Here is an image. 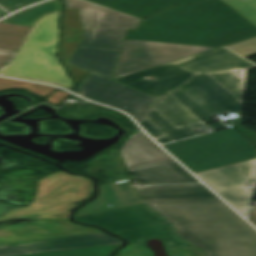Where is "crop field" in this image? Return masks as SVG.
<instances>
[{"label": "crop field", "instance_id": "crop-field-6", "mask_svg": "<svg viewBox=\"0 0 256 256\" xmlns=\"http://www.w3.org/2000/svg\"><path fill=\"white\" fill-rule=\"evenodd\" d=\"M91 193L92 180L60 172L41 181L36 199L31 206L20 207L0 219L28 214L44 216L66 210L76 206L73 203L86 200Z\"/></svg>", "mask_w": 256, "mask_h": 256}, {"label": "crop field", "instance_id": "crop-field-12", "mask_svg": "<svg viewBox=\"0 0 256 256\" xmlns=\"http://www.w3.org/2000/svg\"><path fill=\"white\" fill-rule=\"evenodd\" d=\"M75 220L99 225L111 232L124 231L169 221L146 203L77 217Z\"/></svg>", "mask_w": 256, "mask_h": 256}, {"label": "crop field", "instance_id": "crop-field-26", "mask_svg": "<svg viewBox=\"0 0 256 256\" xmlns=\"http://www.w3.org/2000/svg\"><path fill=\"white\" fill-rule=\"evenodd\" d=\"M29 27L0 24V49L18 51Z\"/></svg>", "mask_w": 256, "mask_h": 256}, {"label": "crop field", "instance_id": "crop-field-36", "mask_svg": "<svg viewBox=\"0 0 256 256\" xmlns=\"http://www.w3.org/2000/svg\"><path fill=\"white\" fill-rule=\"evenodd\" d=\"M248 219L256 226V209H250Z\"/></svg>", "mask_w": 256, "mask_h": 256}, {"label": "crop field", "instance_id": "crop-field-37", "mask_svg": "<svg viewBox=\"0 0 256 256\" xmlns=\"http://www.w3.org/2000/svg\"><path fill=\"white\" fill-rule=\"evenodd\" d=\"M6 14H8V13H6L4 10H2V9L0 8V18L3 17V16L6 15Z\"/></svg>", "mask_w": 256, "mask_h": 256}, {"label": "crop field", "instance_id": "crop-field-29", "mask_svg": "<svg viewBox=\"0 0 256 256\" xmlns=\"http://www.w3.org/2000/svg\"><path fill=\"white\" fill-rule=\"evenodd\" d=\"M232 9L256 26V0H223Z\"/></svg>", "mask_w": 256, "mask_h": 256}, {"label": "crop field", "instance_id": "crop-field-22", "mask_svg": "<svg viewBox=\"0 0 256 256\" xmlns=\"http://www.w3.org/2000/svg\"><path fill=\"white\" fill-rule=\"evenodd\" d=\"M119 52L77 48L69 63L111 79Z\"/></svg>", "mask_w": 256, "mask_h": 256}, {"label": "crop field", "instance_id": "crop-field-33", "mask_svg": "<svg viewBox=\"0 0 256 256\" xmlns=\"http://www.w3.org/2000/svg\"><path fill=\"white\" fill-rule=\"evenodd\" d=\"M16 54L14 51L0 50V68L12 61Z\"/></svg>", "mask_w": 256, "mask_h": 256}, {"label": "crop field", "instance_id": "crop-field-3", "mask_svg": "<svg viewBox=\"0 0 256 256\" xmlns=\"http://www.w3.org/2000/svg\"><path fill=\"white\" fill-rule=\"evenodd\" d=\"M59 22L60 12L38 20L16 58L0 69V75L73 88L71 79L56 56Z\"/></svg>", "mask_w": 256, "mask_h": 256}, {"label": "crop field", "instance_id": "crop-field-17", "mask_svg": "<svg viewBox=\"0 0 256 256\" xmlns=\"http://www.w3.org/2000/svg\"><path fill=\"white\" fill-rule=\"evenodd\" d=\"M141 202L142 201L134 195L130 179L120 183L101 185L97 199L79 210L74 217L116 209ZM109 204L113 207H108L107 205Z\"/></svg>", "mask_w": 256, "mask_h": 256}, {"label": "crop field", "instance_id": "crop-field-21", "mask_svg": "<svg viewBox=\"0 0 256 256\" xmlns=\"http://www.w3.org/2000/svg\"><path fill=\"white\" fill-rule=\"evenodd\" d=\"M116 11L144 19L170 6L196 3L202 0H88Z\"/></svg>", "mask_w": 256, "mask_h": 256}, {"label": "crop field", "instance_id": "crop-field-38", "mask_svg": "<svg viewBox=\"0 0 256 256\" xmlns=\"http://www.w3.org/2000/svg\"><path fill=\"white\" fill-rule=\"evenodd\" d=\"M0 245H5V244L0 242Z\"/></svg>", "mask_w": 256, "mask_h": 256}, {"label": "crop field", "instance_id": "crop-field-24", "mask_svg": "<svg viewBox=\"0 0 256 256\" xmlns=\"http://www.w3.org/2000/svg\"><path fill=\"white\" fill-rule=\"evenodd\" d=\"M154 109L176 128L201 122L169 94L161 98Z\"/></svg>", "mask_w": 256, "mask_h": 256}, {"label": "crop field", "instance_id": "crop-field-32", "mask_svg": "<svg viewBox=\"0 0 256 256\" xmlns=\"http://www.w3.org/2000/svg\"><path fill=\"white\" fill-rule=\"evenodd\" d=\"M40 0H0V5L5 8L7 11L11 12L23 6L29 5L31 3L37 2Z\"/></svg>", "mask_w": 256, "mask_h": 256}, {"label": "crop field", "instance_id": "crop-field-34", "mask_svg": "<svg viewBox=\"0 0 256 256\" xmlns=\"http://www.w3.org/2000/svg\"><path fill=\"white\" fill-rule=\"evenodd\" d=\"M68 95L69 94L61 91H55L46 101L56 105L60 103Z\"/></svg>", "mask_w": 256, "mask_h": 256}, {"label": "crop field", "instance_id": "crop-field-13", "mask_svg": "<svg viewBox=\"0 0 256 256\" xmlns=\"http://www.w3.org/2000/svg\"><path fill=\"white\" fill-rule=\"evenodd\" d=\"M192 75L194 74L169 63L114 81L161 98Z\"/></svg>", "mask_w": 256, "mask_h": 256}, {"label": "crop field", "instance_id": "crop-field-5", "mask_svg": "<svg viewBox=\"0 0 256 256\" xmlns=\"http://www.w3.org/2000/svg\"><path fill=\"white\" fill-rule=\"evenodd\" d=\"M65 8H78L85 37L79 47L120 50L127 29H136L140 20L83 1L63 0Z\"/></svg>", "mask_w": 256, "mask_h": 256}, {"label": "crop field", "instance_id": "crop-field-16", "mask_svg": "<svg viewBox=\"0 0 256 256\" xmlns=\"http://www.w3.org/2000/svg\"><path fill=\"white\" fill-rule=\"evenodd\" d=\"M127 168L172 159L153 143L139 128L120 149Z\"/></svg>", "mask_w": 256, "mask_h": 256}, {"label": "crop field", "instance_id": "crop-field-18", "mask_svg": "<svg viewBox=\"0 0 256 256\" xmlns=\"http://www.w3.org/2000/svg\"><path fill=\"white\" fill-rule=\"evenodd\" d=\"M120 236L130 242L127 248L120 253L135 252L138 245L143 244L147 238H161L165 240L166 247L170 249L195 247L178 235L171 222L125 231L120 233Z\"/></svg>", "mask_w": 256, "mask_h": 256}, {"label": "crop field", "instance_id": "crop-field-9", "mask_svg": "<svg viewBox=\"0 0 256 256\" xmlns=\"http://www.w3.org/2000/svg\"><path fill=\"white\" fill-rule=\"evenodd\" d=\"M74 92L100 103L122 109L132 115L140 124L157 99L90 74Z\"/></svg>", "mask_w": 256, "mask_h": 256}, {"label": "crop field", "instance_id": "crop-field-20", "mask_svg": "<svg viewBox=\"0 0 256 256\" xmlns=\"http://www.w3.org/2000/svg\"><path fill=\"white\" fill-rule=\"evenodd\" d=\"M128 171L146 184L199 182L175 160L137 167Z\"/></svg>", "mask_w": 256, "mask_h": 256}, {"label": "crop field", "instance_id": "crop-field-27", "mask_svg": "<svg viewBox=\"0 0 256 256\" xmlns=\"http://www.w3.org/2000/svg\"><path fill=\"white\" fill-rule=\"evenodd\" d=\"M120 245L121 244L73 249V250H64V251H55V252H46V253H37V254H29V255H20V256H109L110 253Z\"/></svg>", "mask_w": 256, "mask_h": 256}, {"label": "crop field", "instance_id": "crop-field-14", "mask_svg": "<svg viewBox=\"0 0 256 256\" xmlns=\"http://www.w3.org/2000/svg\"><path fill=\"white\" fill-rule=\"evenodd\" d=\"M122 243L121 240L105 233L77 236L64 239L47 240L17 245L0 246V256H12L37 252L109 245Z\"/></svg>", "mask_w": 256, "mask_h": 256}, {"label": "crop field", "instance_id": "crop-field-28", "mask_svg": "<svg viewBox=\"0 0 256 256\" xmlns=\"http://www.w3.org/2000/svg\"><path fill=\"white\" fill-rule=\"evenodd\" d=\"M235 97L241 100L243 92V78L235 71L209 74Z\"/></svg>", "mask_w": 256, "mask_h": 256}, {"label": "crop field", "instance_id": "crop-field-10", "mask_svg": "<svg viewBox=\"0 0 256 256\" xmlns=\"http://www.w3.org/2000/svg\"><path fill=\"white\" fill-rule=\"evenodd\" d=\"M255 170L256 159L195 175L245 216L252 193L245 184L254 180Z\"/></svg>", "mask_w": 256, "mask_h": 256}, {"label": "crop field", "instance_id": "crop-field-31", "mask_svg": "<svg viewBox=\"0 0 256 256\" xmlns=\"http://www.w3.org/2000/svg\"><path fill=\"white\" fill-rule=\"evenodd\" d=\"M226 47L246 57L256 53V37Z\"/></svg>", "mask_w": 256, "mask_h": 256}, {"label": "crop field", "instance_id": "crop-field-2", "mask_svg": "<svg viewBox=\"0 0 256 256\" xmlns=\"http://www.w3.org/2000/svg\"><path fill=\"white\" fill-rule=\"evenodd\" d=\"M237 13L222 0L171 7L129 30L126 39L218 47L256 36V27Z\"/></svg>", "mask_w": 256, "mask_h": 256}, {"label": "crop field", "instance_id": "crop-field-25", "mask_svg": "<svg viewBox=\"0 0 256 256\" xmlns=\"http://www.w3.org/2000/svg\"><path fill=\"white\" fill-rule=\"evenodd\" d=\"M62 5L60 0H53L44 4H40L29 9H26L20 13H17L0 23H10L16 25H23L32 27L35 22L42 16L61 11Z\"/></svg>", "mask_w": 256, "mask_h": 256}, {"label": "crop field", "instance_id": "crop-field-1", "mask_svg": "<svg viewBox=\"0 0 256 256\" xmlns=\"http://www.w3.org/2000/svg\"><path fill=\"white\" fill-rule=\"evenodd\" d=\"M135 187L206 256H256V231L202 184Z\"/></svg>", "mask_w": 256, "mask_h": 256}, {"label": "crop field", "instance_id": "crop-field-30", "mask_svg": "<svg viewBox=\"0 0 256 256\" xmlns=\"http://www.w3.org/2000/svg\"><path fill=\"white\" fill-rule=\"evenodd\" d=\"M10 87H19V88L25 87L26 89L33 91L34 93L40 95L43 98H45L53 89H57V88L38 85L34 83H27V82L0 78V90L10 88Z\"/></svg>", "mask_w": 256, "mask_h": 256}, {"label": "crop field", "instance_id": "crop-field-11", "mask_svg": "<svg viewBox=\"0 0 256 256\" xmlns=\"http://www.w3.org/2000/svg\"><path fill=\"white\" fill-rule=\"evenodd\" d=\"M37 222L38 225L15 224L1 228L0 241L13 244L102 232L94 228L75 225L66 220H37Z\"/></svg>", "mask_w": 256, "mask_h": 256}, {"label": "crop field", "instance_id": "crop-field-35", "mask_svg": "<svg viewBox=\"0 0 256 256\" xmlns=\"http://www.w3.org/2000/svg\"><path fill=\"white\" fill-rule=\"evenodd\" d=\"M69 213L70 212L66 210V211L58 212V213L47 215L40 218H67Z\"/></svg>", "mask_w": 256, "mask_h": 256}, {"label": "crop field", "instance_id": "crop-field-15", "mask_svg": "<svg viewBox=\"0 0 256 256\" xmlns=\"http://www.w3.org/2000/svg\"><path fill=\"white\" fill-rule=\"evenodd\" d=\"M193 73H214L243 69L256 64L223 47L196 56L172 62Z\"/></svg>", "mask_w": 256, "mask_h": 256}, {"label": "crop field", "instance_id": "crop-field-19", "mask_svg": "<svg viewBox=\"0 0 256 256\" xmlns=\"http://www.w3.org/2000/svg\"><path fill=\"white\" fill-rule=\"evenodd\" d=\"M83 36L79 10L69 9L64 11L63 39L59 56L67 66L76 83L83 78L87 71L68 64V61L75 52Z\"/></svg>", "mask_w": 256, "mask_h": 256}, {"label": "crop field", "instance_id": "crop-field-23", "mask_svg": "<svg viewBox=\"0 0 256 256\" xmlns=\"http://www.w3.org/2000/svg\"><path fill=\"white\" fill-rule=\"evenodd\" d=\"M140 125L160 144L198 135L190 126L176 129L154 109Z\"/></svg>", "mask_w": 256, "mask_h": 256}, {"label": "crop field", "instance_id": "crop-field-7", "mask_svg": "<svg viewBox=\"0 0 256 256\" xmlns=\"http://www.w3.org/2000/svg\"><path fill=\"white\" fill-rule=\"evenodd\" d=\"M170 93L200 119L242 108V103L208 74L197 75Z\"/></svg>", "mask_w": 256, "mask_h": 256}, {"label": "crop field", "instance_id": "crop-field-4", "mask_svg": "<svg viewBox=\"0 0 256 256\" xmlns=\"http://www.w3.org/2000/svg\"><path fill=\"white\" fill-rule=\"evenodd\" d=\"M163 147L193 173L256 158V148L234 128Z\"/></svg>", "mask_w": 256, "mask_h": 256}, {"label": "crop field", "instance_id": "crop-field-8", "mask_svg": "<svg viewBox=\"0 0 256 256\" xmlns=\"http://www.w3.org/2000/svg\"><path fill=\"white\" fill-rule=\"evenodd\" d=\"M209 49L212 48L126 40L113 79Z\"/></svg>", "mask_w": 256, "mask_h": 256}]
</instances>
